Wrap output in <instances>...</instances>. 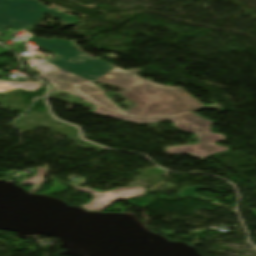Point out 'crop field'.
<instances>
[{"instance_id": "8a807250", "label": "crop field", "mask_w": 256, "mask_h": 256, "mask_svg": "<svg viewBox=\"0 0 256 256\" xmlns=\"http://www.w3.org/2000/svg\"><path fill=\"white\" fill-rule=\"evenodd\" d=\"M29 40L61 55L33 67L42 72L38 76L49 80L56 90L67 91L97 106L95 113L139 123L171 120L175 122L174 127L198 136V144L167 148L169 154L190 153L204 159L229 150L215 145L214 141L225 140L224 135L211 134L210 125L213 123L191 113L204 106L182 88L142 79L135 75L140 71L138 69L128 73L113 70L108 64L84 54L70 42L41 38ZM92 81L127 89L122 94L134 102L135 107L127 112L119 110L99 87L90 83Z\"/></svg>"}, {"instance_id": "ac0d7876", "label": "crop field", "mask_w": 256, "mask_h": 256, "mask_svg": "<svg viewBox=\"0 0 256 256\" xmlns=\"http://www.w3.org/2000/svg\"><path fill=\"white\" fill-rule=\"evenodd\" d=\"M44 13L62 19L64 27L77 22L73 16L49 10L35 0H0V31L6 27L25 28L38 25Z\"/></svg>"}, {"instance_id": "34b2d1b8", "label": "crop field", "mask_w": 256, "mask_h": 256, "mask_svg": "<svg viewBox=\"0 0 256 256\" xmlns=\"http://www.w3.org/2000/svg\"><path fill=\"white\" fill-rule=\"evenodd\" d=\"M80 191L88 192L90 194H93L95 196V199L92 200L88 205L84 206L85 208L89 210H98L103 211L110 205H112L114 202L134 197V196H142L144 195V188L140 187H130L126 189H120L115 190L106 194H99L97 192L91 191L87 188H78Z\"/></svg>"}, {"instance_id": "412701ff", "label": "crop field", "mask_w": 256, "mask_h": 256, "mask_svg": "<svg viewBox=\"0 0 256 256\" xmlns=\"http://www.w3.org/2000/svg\"><path fill=\"white\" fill-rule=\"evenodd\" d=\"M41 87V82L33 83H14L8 81H0V92H6L18 88H23L26 90H37Z\"/></svg>"}, {"instance_id": "f4fd0767", "label": "crop field", "mask_w": 256, "mask_h": 256, "mask_svg": "<svg viewBox=\"0 0 256 256\" xmlns=\"http://www.w3.org/2000/svg\"><path fill=\"white\" fill-rule=\"evenodd\" d=\"M200 189H204V188L201 187V186H195V187L185 188V189L179 191L178 197H179V198H192V197H194V198H199V199H201V200H206V201L211 200V199H204V198L198 196V195L196 194V192H197L198 190H200ZM207 190H212V189H207Z\"/></svg>"}, {"instance_id": "dd49c442", "label": "crop field", "mask_w": 256, "mask_h": 256, "mask_svg": "<svg viewBox=\"0 0 256 256\" xmlns=\"http://www.w3.org/2000/svg\"><path fill=\"white\" fill-rule=\"evenodd\" d=\"M44 181H46L44 178L35 176V177H33V178L29 179V180H26L24 182H21V183H23V184L38 185V184H40V183H42Z\"/></svg>"}, {"instance_id": "e52e79f7", "label": "crop field", "mask_w": 256, "mask_h": 256, "mask_svg": "<svg viewBox=\"0 0 256 256\" xmlns=\"http://www.w3.org/2000/svg\"><path fill=\"white\" fill-rule=\"evenodd\" d=\"M53 181L55 183V187L53 189H51L50 191H48L46 194L51 195L53 193H59L62 190L66 189V188L60 186L57 180H53Z\"/></svg>"}, {"instance_id": "d8731c3e", "label": "crop field", "mask_w": 256, "mask_h": 256, "mask_svg": "<svg viewBox=\"0 0 256 256\" xmlns=\"http://www.w3.org/2000/svg\"><path fill=\"white\" fill-rule=\"evenodd\" d=\"M45 173H46L45 169L37 167V174L36 175L43 177L45 175Z\"/></svg>"}, {"instance_id": "5a996713", "label": "crop field", "mask_w": 256, "mask_h": 256, "mask_svg": "<svg viewBox=\"0 0 256 256\" xmlns=\"http://www.w3.org/2000/svg\"><path fill=\"white\" fill-rule=\"evenodd\" d=\"M150 229H153V228H150ZM153 230H156V229H153ZM156 231L162 232V231H160V230H156ZM178 231H184V232H186V233H190L188 230H178ZM173 232H174V231L169 232V233H164V232H162V233H164V234H166V235H172V234H174Z\"/></svg>"}, {"instance_id": "3316defc", "label": "crop field", "mask_w": 256, "mask_h": 256, "mask_svg": "<svg viewBox=\"0 0 256 256\" xmlns=\"http://www.w3.org/2000/svg\"><path fill=\"white\" fill-rule=\"evenodd\" d=\"M211 230H214V229H211ZM207 231V230H206ZM192 234H195L197 232H203V230H194V231H190Z\"/></svg>"}, {"instance_id": "28ad6ade", "label": "crop field", "mask_w": 256, "mask_h": 256, "mask_svg": "<svg viewBox=\"0 0 256 256\" xmlns=\"http://www.w3.org/2000/svg\"><path fill=\"white\" fill-rule=\"evenodd\" d=\"M5 52H7L6 50L0 48V55L4 54Z\"/></svg>"}, {"instance_id": "d1516ede", "label": "crop field", "mask_w": 256, "mask_h": 256, "mask_svg": "<svg viewBox=\"0 0 256 256\" xmlns=\"http://www.w3.org/2000/svg\"><path fill=\"white\" fill-rule=\"evenodd\" d=\"M110 67H112L113 69H117V68H115V67H113V66H111V65H110ZM117 70H120V69H117ZM122 71H124V70H122ZM125 72H127V71H125Z\"/></svg>"}, {"instance_id": "22f410ed", "label": "crop field", "mask_w": 256, "mask_h": 256, "mask_svg": "<svg viewBox=\"0 0 256 256\" xmlns=\"http://www.w3.org/2000/svg\"><path fill=\"white\" fill-rule=\"evenodd\" d=\"M251 211H253V212H255V213H256V210H255V209H252ZM255 216H256V214H255Z\"/></svg>"}]
</instances>
